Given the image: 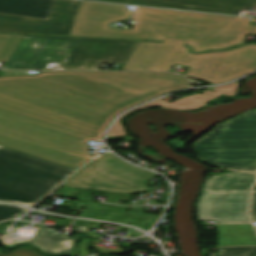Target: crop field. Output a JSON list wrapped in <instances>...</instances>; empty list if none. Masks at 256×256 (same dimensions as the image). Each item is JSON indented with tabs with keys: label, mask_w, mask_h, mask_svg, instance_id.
I'll list each match as a JSON object with an SVG mask.
<instances>
[{
	"label": "crop field",
	"mask_w": 256,
	"mask_h": 256,
	"mask_svg": "<svg viewBox=\"0 0 256 256\" xmlns=\"http://www.w3.org/2000/svg\"><path fill=\"white\" fill-rule=\"evenodd\" d=\"M74 171L0 146V200L32 207Z\"/></svg>",
	"instance_id": "4"
},
{
	"label": "crop field",
	"mask_w": 256,
	"mask_h": 256,
	"mask_svg": "<svg viewBox=\"0 0 256 256\" xmlns=\"http://www.w3.org/2000/svg\"><path fill=\"white\" fill-rule=\"evenodd\" d=\"M116 139H124L125 141H132V140H134L132 137H120V138H116ZM106 140H115V139H106Z\"/></svg>",
	"instance_id": "22"
},
{
	"label": "crop field",
	"mask_w": 256,
	"mask_h": 256,
	"mask_svg": "<svg viewBox=\"0 0 256 256\" xmlns=\"http://www.w3.org/2000/svg\"><path fill=\"white\" fill-rule=\"evenodd\" d=\"M233 15L256 0H93Z\"/></svg>",
	"instance_id": "11"
},
{
	"label": "crop field",
	"mask_w": 256,
	"mask_h": 256,
	"mask_svg": "<svg viewBox=\"0 0 256 256\" xmlns=\"http://www.w3.org/2000/svg\"><path fill=\"white\" fill-rule=\"evenodd\" d=\"M140 42L123 70L171 71L174 64L191 67L186 73L211 84L233 80L256 70V45L203 54H190L182 39Z\"/></svg>",
	"instance_id": "3"
},
{
	"label": "crop field",
	"mask_w": 256,
	"mask_h": 256,
	"mask_svg": "<svg viewBox=\"0 0 256 256\" xmlns=\"http://www.w3.org/2000/svg\"><path fill=\"white\" fill-rule=\"evenodd\" d=\"M219 256H256V247L218 248Z\"/></svg>",
	"instance_id": "18"
},
{
	"label": "crop field",
	"mask_w": 256,
	"mask_h": 256,
	"mask_svg": "<svg viewBox=\"0 0 256 256\" xmlns=\"http://www.w3.org/2000/svg\"><path fill=\"white\" fill-rule=\"evenodd\" d=\"M253 190H256V185H255V187H254V189Z\"/></svg>",
	"instance_id": "24"
},
{
	"label": "crop field",
	"mask_w": 256,
	"mask_h": 256,
	"mask_svg": "<svg viewBox=\"0 0 256 256\" xmlns=\"http://www.w3.org/2000/svg\"><path fill=\"white\" fill-rule=\"evenodd\" d=\"M0 256H40V255H38L35 250L22 248L10 254H0Z\"/></svg>",
	"instance_id": "20"
},
{
	"label": "crop field",
	"mask_w": 256,
	"mask_h": 256,
	"mask_svg": "<svg viewBox=\"0 0 256 256\" xmlns=\"http://www.w3.org/2000/svg\"><path fill=\"white\" fill-rule=\"evenodd\" d=\"M250 214L253 218V221L256 222V191H253V193H252V199H251V205H250Z\"/></svg>",
	"instance_id": "21"
},
{
	"label": "crop field",
	"mask_w": 256,
	"mask_h": 256,
	"mask_svg": "<svg viewBox=\"0 0 256 256\" xmlns=\"http://www.w3.org/2000/svg\"><path fill=\"white\" fill-rule=\"evenodd\" d=\"M80 2L55 0L48 20L0 14V32L69 36Z\"/></svg>",
	"instance_id": "8"
},
{
	"label": "crop field",
	"mask_w": 256,
	"mask_h": 256,
	"mask_svg": "<svg viewBox=\"0 0 256 256\" xmlns=\"http://www.w3.org/2000/svg\"><path fill=\"white\" fill-rule=\"evenodd\" d=\"M249 191L203 192L197 203L198 220L250 222L246 215Z\"/></svg>",
	"instance_id": "10"
},
{
	"label": "crop field",
	"mask_w": 256,
	"mask_h": 256,
	"mask_svg": "<svg viewBox=\"0 0 256 256\" xmlns=\"http://www.w3.org/2000/svg\"><path fill=\"white\" fill-rule=\"evenodd\" d=\"M137 42L78 38L64 69L98 70L99 62L125 63Z\"/></svg>",
	"instance_id": "9"
},
{
	"label": "crop field",
	"mask_w": 256,
	"mask_h": 256,
	"mask_svg": "<svg viewBox=\"0 0 256 256\" xmlns=\"http://www.w3.org/2000/svg\"><path fill=\"white\" fill-rule=\"evenodd\" d=\"M255 174L237 172L236 175L209 178L203 191L250 190Z\"/></svg>",
	"instance_id": "16"
},
{
	"label": "crop field",
	"mask_w": 256,
	"mask_h": 256,
	"mask_svg": "<svg viewBox=\"0 0 256 256\" xmlns=\"http://www.w3.org/2000/svg\"><path fill=\"white\" fill-rule=\"evenodd\" d=\"M231 169L256 172V128Z\"/></svg>",
	"instance_id": "17"
},
{
	"label": "crop field",
	"mask_w": 256,
	"mask_h": 256,
	"mask_svg": "<svg viewBox=\"0 0 256 256\" xmlns=\"http://www.w3.org/2000/svg\"><path fill=\"white\" fill-rule=\"evenodd\" d=\"M256 245L251 224L218 225V246Z\"/></svg>",
	"instance_id": "15"
},
{
	"label": "crop field",
	"mask_w": 256,
	"mask_h": 256,
	"mask_svg": "<svg viewBox=\"0 0 256 256\" xmlns=\"http://www.w3.org/2000/svg\"><path fill=\"white\" fill-rule=\"evenodd\" d=\"M54 0H0V13L48 18Z\"/></svg>",
	"instance_id": "13"
},
{
	"label": "crop field",
	"mask_w": 256,
	"mask_h": 256,
	"mask_svg": "<svg viewBox=\"0 0 256 256\" xmlns=\"http://www.w3.org/2000/svg\"><path fill=\"white\" fill-rule=\"evenodd\" d=\"M126 6L82 1L71 35L161 41L166 36L182 38L193 52L223 49L245 43L256 35L247 18L176 12L136 7L131 30H115L109 23L129 19Z\"/></svg>",
	"instance_id": "2"
},
{
	"label": "crop field",
	"mask_w": 256,
	"mask_h": 256,
	"mask_svg": "<svg viewBox=\"0 0 256 256\" xmlns=\"http://www.w3.org/2000/svg\"><path fill=\"white\" fill-rule=\"evenodd\" d=\"M256 127V110L248 111L212 129L192 145L206 166L230 169Z\"/></svg>",
	"instance_id": "6"
},
{
	"label": "crop field",
	"mask_w": 256,
	"mask_h": 256,
	"mask_svg": "<svg viewBox=\"0 0 256 256\" xmlns=\"http://www.w3.org/2000/svg\"><path fill=\"white\" fill-rule=\"evenodd\" d=\"M205 105H207V103H204V104L199 105V106H197V107H194V108H192V109H196V108H198V107L205 106Z\"/></svg>",
	"instance_id": "23"
},
{
	"label": "crop field",
	"mask_w": 256,
	"mask_h": 256,
	"mask_svg": "<svg viewBox=\"0 0 256 256\" xmlns=\"http://www.w3.org/2000/svg\"><path fill=\"white\" fill-rule=\"evenodd\" d=\"M75 232H85L86 227H73L71 230ZM71 232L69 234H71ZM51 230L42 229V231L31 242L32 245L38 246L47 254H72V242L81 235L76 234L73 239H68V236L51 234Z\"/></svg>",
	"instance_id": "14"
},
{
	"label": "crop field",
	"mask_w": 256,
	"mask_h": 256,
	"mask_svg": "<svg viewBox=\"0 0 256 256\" xmlns=\"http://www.w3.org/2000/svg\"><path fill=\"white\" fill-rule=\"evenodd\" d=\"M29 210L12 205L0 204V221L18 217Z\"/></svg>",
	"instance_id": "19"
},
{
	"label": "crop field",
	"mask_w": 256,
	"mask_h": 256,
	"mask_svg": "<svg viewBox=\"0 0 256 256\" xmlns=\"http://www.w3.org/2000/svg\"><path fill=\"white\" fill-rule=\"evenodd\" d=\"M155 175L131 166L109 153L86 164L64 185L131 194L148 191L146 183Z\"/></svg>",
	"instance_id": "5"
},
{
	"label": "crop field",
	"mask_w": 256,
	"mask_h": 256,
	"mask_svg": "<svg viewBox=\"0 0 256 256\" xmlns=\"http://www.w3.org/2000/svg\"><path fill=\"white\" fill-rule=\"evenodd\" d=\"M75 40L25 35L4 69H43L47 61L66 62Z\"/></svg>",
	"instance_id": "7"
},
{
	"label": "crop field",
	"mask_w": 256,
	"mask_h": 256,
	"mask_svg": "<svg viewBox=\"0 0 256 256\" xmlns=\"http://www.w3.org/2000/svg\"><path fill=\"white\" fill-rule=\"evenodd\" d=\"M239 82H236L234 84L227 85V86L211 87V89H208V90H204V91L196 92V93L189 94L186 96H182L171 103L163 101V100H161L162 98H160L156 101H153V102L148 103L142 107H139L135 110L132 109V110L136 111L138 109L150 107V106H161L164 108L176 109V110H184V109L192 108V107L202 104L204 102H209L221 95H225V96H229V97L235 96L237 93L238 87L240 85ZM133 111H131V112H133ZM131 112H129V113H131ZM129 113H127V114H129ZM127 114L123 115L122 117H120L118 120H116L114 122L107 137L118 136V135L128 136L120 123V120L123 117H125Z\"/></svg>",
	"instance_id": "12"
},
{
	"label": "crop field",
	"mask_w": 256,
	"mask_h": 256,
	"mask_svg": "<svg viewBox=\"0 0 256 256\" xmlns=\"http://www.w3.org/2000/svg\"><path fill=\"white\" fill-rule=\"evenodd\" d=\"M22 37L0 34V62ZM188 87L170 73L41 71L0 78V145L75 169L91 159L86 140L102 141L114 116Z\"/></svg>",
	"instance_id": "1"
}]
</instances>
